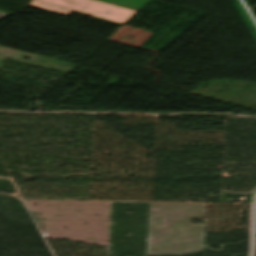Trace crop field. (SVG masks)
Wrapping results in <instances>:
<instances>
[{"label":"crop field","instance_id":"8a807250","mask_svg":"<svg viewBox=\"0 0 256 256\" xmlns=\"http://www.w3.org/2000/svg\"><path fill=\"white\" fill-rule=\"evenodd\" d=\"M30 5L69 15L71 10L124 24L136 11L95 0H33Z\"/></svg>","mask_w":256,"mask_h":256},{"label":"crop field","instance_id":"ac0d7876","mask_svg":"<svg viewBox=\"0 0 256 256\" xmlns=\"http://www.w3.org/2000/svg\"><path fill=\"white\" fill-rule=\"evenodd\" d=\"M8 14L0 13V19L7 16Z\"/></svg>","mask_w":256,"mask_h":256}]
</instances>
